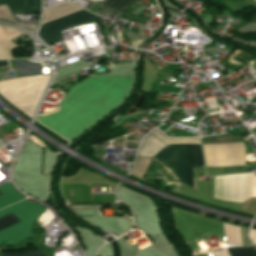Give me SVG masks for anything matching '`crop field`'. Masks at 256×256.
<instances>
[{
	"label": "crop field",
	"instance_id": "obj_15",
	"mask_svg": "<svg viewBox=\"0 0 256 256\" xmlns=\"http://www.w3.org/2000/svg\"><path fill=\"white\" fill-rule=\"evenodd\" d=\"M4 66H7L6 61H0V67H4Z\"/></svg>",
	"mask_w": 256,
	"mask_h": 256
},
{
	"label": "crop field",
	"instance_id": "obj_12",
	"mask_svg": "<svg viewBox=\"0 0 256 256\" xmlns=\"http://www.w3.org/2000/svg\"><path fill=\"white\" fill-rule=\"evenodd\" d=\"M231 256H256L253 248H227Z\"/></svg>",
	"mask_w": 256,
	"mask_h": 256
},
{
	"label": "crop field",
	"instance_id": "obj_5",
	"mask_svg": "<svg viewBox=\"0 0 256 256\" xmlns=\"http://www.w3.org/2000/svg\"><path fill=\"white\" fill-rule=\"evenodd\" d=\"M45 208L35 202L29 203L26 200L16 203L0 211V217L12 213L21 222L0 231V242L12 245L32 235V223L38 218Z\"/></svg>",
	"mask_w": 256,
	"mask_h": 256
},
{
	"label": "crop field",
	"instance_id": "obj_9",
	"mask_svg": "<svg viewBox=\"0 0 256 256\" xmlns=\"http://www.w3.org/2000/svg\"><path fill=\"white\" fill-rule=\"evenodd\" d=\"M0 193L2 194L0 195V209L24 199L9 182L0 186Z\"/></svg>",
	"mask_w": 256,
	"mask_h": 256
},
{
	"label": "crop field",
	"instance_id": "obj_10",
	"mask_svg": "<svg viewBox=\"0 0 256 256\" xmlns=\"http://www.w3.org/2000/svg\"><path fill=\"white\" fill-rule=\"evenodd\" d=\"M134 2L135 0H105L99 8H103L110 13L115 11L122 15V13Z\"/></svg>",
	"mask_w": 256,
	"mask_h": 256
},
{
	"label": "crop field",
	"instance_id": "obj_14",
	"mask_svg": "<svg viewBox=\"0 0 256 256\" xmlns=\"http://www.w3.org/2000/svg\"><path fill=\"white\" fill-rule=\"evenodd\" d=\"M2 256H44V255L41 254L39 251H35V252H28V253H22V254H5Z\"/></svg>",
	"mask_w": 256,
	"mask_h": 256
},
{
	"label": "crop field",
	"instance_id": "obj_13",
	"mask_svg": "<svg viewBox=\"0 0 256 256\" xmlns=\"http://www.w3.org/2000/svg\"><path fill=\"white\" fill-rule=\"evenodd\" d=\"M17 222L19 220L10 213L0 219V230Z\"/></svg>",
	"mask_w": 256,
	"mask_h": 256
},
{
	"label": "crop field",
	"instance_id": "obj_6",
	"mask_svg": "<svg viewBox=\"0 0 256 256\" xmlns=\"http://www.w3.org/2000/svg\"><path fill=\"white\" fill-rule=\"evenodd\" d=\"M253 173L252 198L256 197ZM252 173L214 177V198L243 203L251 199Z\"/></svg>",
	"mask_w": 256,
	"mask_h": 256
},
{
	"label": "crop field",
	"instance_id": "obj_8",
	"mask_svg": "<svg viewBox=\"0 0 256 256\" xmlns=\"http://www.w3.org/2000/svg\"><path fill=\"white\" fill-rule=\"evenodd\" d=\"M3 4L7 5L12 14L40 11V0H0V5Z\"/></svg>",
	"mask_w": 256,
	"mask_h": 256
},
{
	"label": "crop field",
	"instance_id": "obj_2",
	"mask_svg": "<svg viewBox=\"0 0 256 256\" xmlns=\"http://www.w3.org/2000/svg\"><path fill=\"white\" fill-rule=\"evenodd\" d=\"M151 134L166 145L200 143L198 139H167L157 130L153 131ZM153 158L169 168L177 180L192 188V167H204L200 144L168 145Z\"/></svg>",
	"mask_w": 256,
	"mask_h": 256
},
{
	"label": "crop field",
	"instance_id": "obj_16",
	"mask_svg": "<svg viewBox=\"0 0 256 256\" xmlns=\"http://www.w3.org/2000/svg\"><path fill=\"white\" fill-rule=\"evenodd\" d=\"M252 22H256V17H254V18L252 19Z\"/></svg>",
	"mask_w": 256,
	"mask_h": 256
},
{
	"label": "crop field",
	"instance_id": "obj_4",
	"mask_svg": "<svg viewBox=\"0 0 256 256\" xmlns=\"http://www.w3.org/2000/svg\"><path fill=\"white\" fill-rule=\"evenodd\" d=\"M80 10L82 9L69 2L50 8L44 11L42 25ZM98 19H100V17L82 10L80 12L43 25L39 32V37L42 38L47 44H49L63 39L59 30L86 24Z\"/></svg>",
	"mask_w": 256,
	"mask_h": 256
},
{
	"label": "crop field",
	"instance_id": "obj_7",
	"mask_svg": "<svg viewBox=\"0 0 256 256\" xmlns=\"http://www.w3.org/2000/svg\"><path fill=\"white\" fill-rule=\"evenodd\" d=\"M206 167L243 166L241 142L202 145Z\"/></svg>",
	"mask_w": 256,
	"mask_h": 256
},
{
	"label": "crop field",
	"instance_id": "obj_3",
	"mask_svg": "<svg viewBox=\"0 0 256 256\" xmlns=\"http://www.w3.org/2000/svg\"><path fill=\"white\" fill-rule=\"evenodd\" d=\"M49 77L50 75H44L2 81L0 95L30 118Z\"/></svg>",
	"mask_w": 256,
	"mask_h": 256
},
{
	"label": "crop field",
	"instance_id": "obj_1",
	"mask_svg": "<svg viewBox=\"0 0 256 256\" xmlns=\"http://www.w3.org/2000/svg\"><path fill=\"white\" fill-rule=\"evenodd\" d=\"M132 79H85L59 105L39 114L38 121L71 140L119 104Z\"/></svg>",
	"mask_w": 256,
	"mask_h": 256
},
{
	"label": "crop field",
	"instance_id": "obj_11",
	"mask_svg": "<svg viewBox=\"0 0 256 256\" xmlns=\"http://www.w3.org/2000/svg\"><path fill=\"white\" fill-rule=\"evenodd\" d=\"M151 158L138 157L137 165L133 170V174L142 178Z\"/></svg>",
	"mask_w": 256,
	"mask_h": 256
}]
</instances>
